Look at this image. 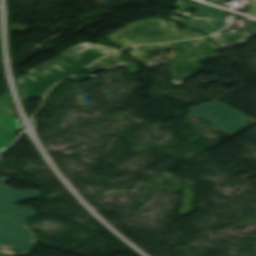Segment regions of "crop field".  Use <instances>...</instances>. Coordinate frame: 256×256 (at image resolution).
<instances>
[{"label":"crop field","instance_id":"obj_1","mask_svg":"<svg viewBox=\"0 0 256 256\" xmlns=\"http://www.w3.org/2000/svg\"><path fill=\"white\" fill-rule=\"evenodd\" d=\"M114 51L115 47L87 42L72 46L62 55L27 71L28 74L20 78L23 99L43 98L56 81L80 71L92 61Z\"/></svg>","mask_w":256,"mask_h":256},{"label":"crop field","instance_id":"obj_2","mask_svg":"<svg viewBox=\"0 0 256 256\" xmlns=\"http://www.w3.org/2000/svg\"><path fill=\"white\" fill-rule=\"evenodd\" d=\"M179 35L181 39L202 36L189 28L179 30ZM109 38L111 42L120 47L178 39L175 23L173 21L165 22L164 19L144 20L133 23L109 36Z\"/></svg>","mask_w":256,"mask_h":256},{"label":"crop field","instance_id":"obj_3","mask_svg":"<svg viewBox=\"0 0 256 256\" xmlns=\"http://www.w3.org/2000/svg\"><path fill=\"white\" fill-rule=\"evenodd\" d=\"M171 44L182 50L180 55L167 63V71L174 85H180V83L188 80L189 75L201 67L200 63L203 59L215 58L217 57L215 50H221L208 37Z\"/></svg>","mask_w":256,"mask_h":256},{"label":"crop field","instance_id":"obj_4","mask_svg":"<svg viewBox=\"0 0 256 256\" xmlns=\"http://www.w3.org/2000/svg\"><path fill=\"white\" fill-rule=\"evenodd\" d=\"M201 116L225 133L247 128L244 115L217 101H210L190 108L187 117Z\"/></svg>","mask_w":256,"mask_h":256},{"label":"crop field","instance_id":"obj_5","mask_svg":"<svg viewBox=\"0 0 256 256\" xmlns=\"http://www.w3.org/2000/svg\"><path fill=\"white\" fill-rule=\"evenodd\" d=\"M176 2L180 7L173 11L189 15L191 16L189 17L191 20L181 19L172 15H170V17L204 35L217 31L227 24L220 10L209 8L187 0H176ZM192 8H196L198 10L197 13H187L189 9Z\"/></svg>","mask_w":256,"mask_h":256},{"label":"crop field","instance_id":"obj_6","mask_svg":"<svg viewBox=\"0 0 256 256\" xmlns=\"http://www.w3.org/2000/svg\"><path fill=\"white\" fill-rule=\"evenodd\" d=\"M8 180L6 177H0V214L26 225V217H32L37 212L29 207L21 208L16 206L18 200H31L39 198V191L36 190H14L4 184Z\"/></svg>","mask_w":256,"mask_h":256},{"label":"crop field","instance_id":"obj_7","mask_svg":"<svg viewBox=\"0 0 256 256\" xmlns=\"http://www.w3.org/2000/svg\"><path fill=\"white\" fill-rule=\"evenodd\" d=\"M19 123L14 116L8 93L5 92L0 97V153L13 141Z\"/></svg>","mask_w":256,"mask_h":256},{"label":"crop field","instance_id":"obj_8","mask_svg":"<svg viewBox=\"0 0 256 256\" xmlns=\"http://www.w3.org/2000/svg\"><path fill=\"white\" fill-rule=\"evenodd\" d=\"M0 227L10 233L12 236L35 242L34 233L27 226L19 225L0 215Z\"/></svg>","mask_w":256,"mask_h":256},{"label":"crop field","instance_id":"obj_9","mask_svg":"<svg viewBox=\"0 0 256 256\" xmlns=\"http://www.w3.org/2000/svg\"><path fill=\"white\" fill-rule=\"evenodd\" d=\"M98 63L105 66L101 68L102 70H109V69L124 66L129 70L130 73L138 72L135 62H133L131 59L126 57L121 52L112 54Z\"/></svg>","mask_w":256,"mask_h":256},{"label":"crop field","instance_id":"obj_10","mask_svg":"<svg viewBox=\"0 0 256 256\" xmlns=\"http://www.w3.org/2000/svg\"><path fill=\"white\" fill-rule=\"evenodd\" d=\"M13 245L14 249L20 250L24 253V255L29 254L28 249L34 246V244L28 243L26 241L14 238L7 233H5L2 229H0V245ZM0 256H8L0 252Z\"/></svg>","mask_w":256,"mask_h":256},{"label":"crop field","instance_id":"obj_11","mask_svg":"<svg viewBox=\"0 0 256 256\" xmlns=\"http://www.w3.org/2000/svg\"><path fill=\"white\" fill-rule=\"evenodd\" d=\"M212 37L224 48L242 44L245 42V39L250 37L246 32L228 36L225 34L217 33L212 35Z\"/></svg>","mask_w":256,"mask_h":256},{"label":"crop field","instance_id":"obj_12","mask_svg":"<svg viewBox=\"0 0 256 256\" xmlns=\"http://www.w3.org/2000/svg\"><path fill=\"white\" fill-rule=\"evenodd\" d=\"M167 48H169L168 44L137 46V47H131L129 50V53L134 57L138 58L143 63L144 67H148L150 66V64L146 58L145 52L167 49Z\"/></svg>","mask_w":256,"mask_h":256},{"label":"crop field","instance_id":"obj_13","mask_svg":"<svg viewBox=\"0 0 256 256\" xmlns=\"http://www.w3.org/2000/svg\"><path fill=\"white\" fill-rule=\"evenodd\" d=\"M184 198L182 199L183 205L181 206V209L179 210L181 216H184L190 212H192V209L189 205L190 202H192L191 198L194 197L190 187L182 191Z\"/></svg>","mask_w":256,"mask_h":256},{"label":"crop field","instance_id":"obj_14","mask_svg":"<svg viewBox=\"0 0 256 256\" xmlns=\"http://www.w3.org/2000/svg\"><path fill=\"white\" fill-rule=\"evenodd\" d=\"M29 26L26 25H16V24H11V30L13 31H19L23 32L25 29H27Z\"/></svg>","mask_w":256,"mask_h":256},{"label":"crop field","instance_id":"obj_15","mask_svg":"<svg viewBox=\"0 0 256 256\" xmlns=\"http://www.w3.org/2000/svg\"><path fill=\"white\" fill-rule=\"evenodd\" d=\"M88 77H90V76H88V75H86V74H84V73H81V74H79V75H77V76H74V77H72V78H70V79H72V80H74V81H76V82H79V81H81V80H83V79H86V78H88Z\"/></svg>","mask_w":256,"mask_h":256},{"label":"crop field","instance_id":"obj_16","mask_svg":"<svg viewBox=\"0 0 256 256\" xmlns=\"http://www.w3.org/2000/svg\"><path fill=\"white\" fill-rule=\"evenodd\" d=\"M254 2L247 4L251 12H247L253 15H256V0H253Z\"/></svg>","mask_w":256,"mask_h":256},{"label":"crop field","instance_id":"obj_17","mask_svg":"<svg viewBox=\"0 0 256 256\" xmlns=\"http://www.w3.org/2000/svg\"><path fill=\"white\" fill-rule=\"evenodd\" d=\"M251 23L255 24L249 28H247V30H250L252 32H256V21L252 20Z\"/></svg>","mask_w":256,"mask_h":256}]
</instances>
